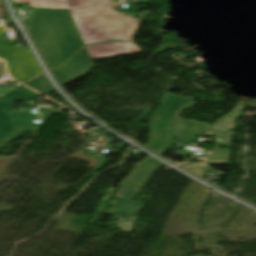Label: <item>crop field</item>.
Returning <instances> with one entry per match:
<instances>
[{
	"mask_svg": "<svg viewBox=\"0 0 256 256\" xmlns=\"http://www.w3.org/2000/svg\"><path fill=\"white\" fill-rule=\"evenodd\" d=\"M94 68L92 60L83 47L64 65L52 70L58 83L62 86L88 74Z\"/></svg>",
	"mask_w": 256,
	"mask_h": 256,
	"instance_id": "412701ff",
	"label": "crop field"
},
{
	"mask_svg": "<svg viewBox=\"0 0 256 256\" xmlns=\"http://www.w3.org/2000/svg\"><path fill=\"white\" fill-rule=\"evenodd\" d=\"M127 177H128V176H127ZM123 181H124V180H123ZM122 183H123V182H122ZM122 183H121V184H122ZM121 184H120V185H121ZM118 192H119V191H118ZM118 192L116 193V197H117V195H118ZM117 199H118V198H117Z\"/></svg>",
	"mask_w": 256,
	"mask_h": 256,
	"instance_id": "28ad6ade",
	"label": "crop field"
},
{
	"mask_svg": "<svg viewBox=\"0 0 256 256\" xmlns=\"http://www.w3.org/2000/svg\"><path fill=\"white\" fill-rule=\"evenodd\" d=\"M36 96H38V93L22 86L0 98V140L11 131H13L8 114L6 112L14 109L13 100L29 101Z\"/></svg>",
	"mask_w": 256,
	"mask_h": 256,
	"instance_id": "f4fd0767",
	"label": "crop field"
},
{
	"mask_svg": "<svg viewBox=\"0 0 256 256\" xmlns=\"http://www.w3.org/2000/svg\"><path fill=\"white\" fill-rule=\"evenodd\" d=\"M31 8L69 9L84 44L131 40L135 18L115 11L113 0H13Z\"/></svg>",
	"mask_w": 256,
	"mask_h": 256,
	"instance_id": "8a807250",
	"label": "crop field"
},
{
	"mask_svg": "<svg viewBox=\"0 0 256 256\" xmlns=\"http://www.w3.org/2000/svg\"><path fill=\"white\" fill-rule=\"evenodd\" d=\"M14 131L0 141V148L24 132L36 133L42 124L33 123L35 115L22 108L19 113H8Z\"/></svg>",
	"mask_w": 256,
	"mask_h": 256,
	"instance_id": "dd49c442",
	"label": "crop field"
},
{
	"mask_svg": "<svg viewBox=\"0 0 256 256\" xmlns=\"http://www.w3.org/2000/svg\"><path fill=\"white\" fill-rule=\"evenodd\" d=\"M43 94H48L52 91H54V89L48 84V82L46 81L44 75L25 84Z\"/></svg>",
	"mask_w": 256,
	"mask_h": 256,
	"instance_id": "d8731c3e",
	"label": "crop field"
},
{
	"mask_svg": "<svg viewBox=\"0 0 256 256\" xmlns=\"http://www.w3.org/2000/svg\"><path fill=\"white\" fill-rule=\"evenodd\" d=\"M28 32L49 69L84 45L68 10L34 9Z\"/></svg>",
	"mask_w": 256,
	"mask_h": 256,
	"instance_id": "ac0d7876",
	"label": "crop field"
},
{
	"mask_svg": "<svg viewBox=\"0 0 256 256\" xmlns=\"http://www.w3.org/2000/svg\"><path fill=\"white\" fill-rule=\"evenodd\" d=\"M0 58L7 60L9 73L21 83L42 74L30 49L5 46V33L2 27H0Z\"/></svg>",
	"mask_w": 256,
	"mask_h": 256,
	"instance_id": "34b2d1b8",
	"label": "crop field"
},
{
	"mask_svg": "<svg viewBox=\"0 0 256 256\" xmlns=\"http://www.w3.org/2000/svg\"><path fill=\"white\" fill-rule=\"evenodd\" d=\"M0 18H2V8H0Z\"/></svg>",
	"mask_w": 256,
	"mask_h": 256,
	"instance_id": "3316defc",
	"label": "crop field"
},
{
	"mask_svg": "<svg viewBox=\"0 0 256 256\" xmlns=\"http://www.w3.org/2000/svg\"><path fill=\"white\" fill-rule=\"evenodd\" d=\"M86 48L92 60L141 51L136 43L109 42L88 46Z\"/></svg>",
	"mask_w": 256,
	"mask_h": 256,
	"instance_id": "e52e79f7",
	"label": "crop field"
},
{
	"mask_svg": "<svg viewBox=\"0 0 256 256\" xmlns=\"http://www.w3.org/2000/svg\"><path fill=\"white\" fill-rule=\"evenodd\" d=\"M0 7H2L1 4H0Z\"/></svg>",
	"mask_w": 256,
	"mask_h": 256,
	"instance_id": "d1516ede",
	"label": "crop field"
},
{
	"mask_svg": "<svg viewBox=\"0 0 256 256\" xmlns=\"http://www.w3.org/2000/svg\"><path fill=\"white\" fill-rule=\"evenodd\" d=\"M54 112H55L54 110H45V111H43L42 112L43 121L46 122Z\"/></svg>",
	"mask_w": 256,
	"mask_h": 256,
	"instance_id": "5a996713",
	"label": "crop field"
}]
</instances>
